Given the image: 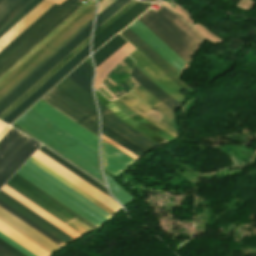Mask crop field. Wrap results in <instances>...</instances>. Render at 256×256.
I'll return each mask as SVG.
<instances>
[{
  "label": "crop field",
  "mask_w": 256,
  "mask_h": 256,
  "mask_svg": "<svg viewBox=\"0 0 256 256\" xmlns=\"http://www.w3.org/2000/svg\"><path fill=\"white\" fill-rule=\"evenodd\" d=\"M21 117H23L39 129H41L42 131L56 139L57 141L61 142L62 144H64L65 146H67L68 148H70L71 150H73L74 152H76L77 154H79L80 156H82L83 158H85L98 168H100L98 152L88 147L75 137L71 136L58 126L54 125L41 115L37 114L36 112L30 109ZM21 117L14 124L28 132L29 134H31L32 136H34L35 138H37L38 140H40L41 142L55 150L56 152H58L60 155H62L63 157H65L66 159H68L69 161H71L72 163H74L75 165H77L78 167H80L81 169H83L84 171H86L99 181H101L102 183H104L101 177L100 169H98L97 167H95L94 165H92L91 163H89L88 161H86L85 159H83L82 157H80L79 155H77L64 145L60 144L59 142H57L56 140H54L53 138H51L50 136H48L47 134H45L44 132H42L41 130H39L38 128H36L35 126H33Z\"/></svg>",
  "instance_id": "obj_1"
},
{
  "label": "crop field",
  "mask_w": 256,
  "mask_h": 256,
  "mask_svg": "<svg viewBox=\"0 0 256 256\" xmlns=\"http://www.w3.org/2000/svg\"><path fill=\"white\" fill-rule=\"evenodd\" d=\"M92 2H94V0H90L89 2L81 6L77 11H75L69 18H67L61 25H59L53 32H51L44 40H42L28 54H26L20 61H18L4 75H2L0 77V81H2L8 74H10L16 67H18L24 60H26L32 53H34L40 46H42L48 39H50L56 32H58L64 25H66L72 18H74L80 11H82ZM94 7L95 3H92L90 6L85 8L66 26H64L58 33H56L50 40H48L42 47H40L34 54H32L26 61H24L18 68H16L10 75H8L2 82H0V90L4 86H6L11 80H13L18 74H20L25 68H27L32 62H34L47 49H49L54 43H56L61 37H63L68 31H70L90 12H92L94 10ZM93 12L90 13L85 19H83L78 25H76L56 44H54L49 50H47L42 56H40L34 63H32L27 69H25L20 75H18L6 87H4L0 91V99L4 95H6L11 89H13L19 82H21L27 75H29L35 68H37L42 62H44L50 55H52L58 48H60L65 42H67L73 35H75L90 20H92Z\"/></svg>",
  "instance_id": "obj_2"
},
{
  "label": "crop field",
  "mask_w": 256,
  "mask_h": 256,
  "mask_svg": "<svg viewBox=\"0 0 256 256\" xmlns=\"http://www.w3.org/2000/svg\"><path fill=\"white\" fill-rule=\"evenodd\" d=\"M79 0L55 3L0 51V76L79 6Z\"/></svg>",
  "instance_id": "obj_3"
},
{
  "label": "crop field",
  "mask_w": 256,
  "mask_h": 256,
  "mask_svg": "<svg viewBox=\"0 0 256 256\" xmlns=\"http://www.w3.org/2000/svg\"><path fill=\"white\" fill-rule=\"evenodd\" d=\"M138 20L187 63L203 41L189 25L162 6L157 12L149 10Z\"/></svg>",
  "instance_id": "obj_4"
},
{
  "label": "crop field",
  "mask_w": 256,
  "mask_h": 256,
  "mask_svg": "<svg viewBox=\"0 0 256 256\" xmlns=\"http://www.w3.org/2000/svg\"><path fill=\"white\" fill-rule=\"evenodd\" d=\"M128 27L180 72L182 67L185 65V62L171 49H169L161 40H159L152 32H150L143 24L137 20ZM128 27L121 33L125 38H127L171 79L179 73Z\"/></svg>",
  "instance_id": "obj_5"
},
{
  "label": "crop field",
  "mask_w": 256,
  "mask_h": 256,
  "mask_svg": "<svg viewBox=\"0 0 256 256\" xmlns=\"http://www.w3.org/2000/svg\"><path fill=\"white\" fill-rule=\"evenodd\" d=\"M39 145L13 128L3 137L0 141V187Z\"/></svg>",
  "instance_id": "obj_6"
},
{
  "label": "crop field",
  "mask_w": 256,
  "mask_h": 256,
  "mask_svg": "<svg viewBox=\"0 0 256 256\" xmlns=\"http://www.w3.org/2000/svg\"><path fill=\"white\" fill-rule=\"evenodd\" d=\"M91 23L92 21L88 23L84 28L82 27V30H80L74 37H72L66 44H64L58 51H56L50 58H48L42 65H40L5 97H3L0 100V113H2L8 106H10L16 99H18L24 92H26L32 85H34L40 78H42L78 45H80L86 38H88L90 36Z\"/></svg>",
  "instance_id": "obj_7"
},
{
  "label": "crop field",
  "mask_w": 256,
  "mask_h": 256,
  "mask_svg": "<svg viewBox=\"0 0 256 256\" xmlns=\"http://www.w3.org/2000/svg\"><path fill=\"white\" fill-rule=\"evenodd\" d=\"M16 173L57 199L59 202L94 224L100 226L104 224L108 219L28 167L23 165Z\"/></svg>",
  "instance_id": "obj_8"
},
{
  "label": "crop field",
  "mask_w": 256,
  "mask_h": 256,
  "mask_svg": "<svg viewBox=\"0 0 256 256\" xmlns=\"http://www.w3.org/2000/svg\"><path fill=\"white\" fill-rule=\"evenodd\" d=\"M6 185L23 195L24 197H26L63 223L75 218L74 216H72L71 214H69L68 212H66L65 210H63L62 208H60L59 206H57L56 204H54L53 202H51L14 176L8 181ZM65 224L81 235L93 230L91 229L92 227H88L76 218Z\"/></svg>",
  "instance_id": "obj_9"
},
{
  "label": "crop field",
  "mask_w": 256,
  "mask_h": 256,
  "mask_svg": "<svg viewBox=\"0 0 256 256\" xmlns=\"http://www.w3.org/2000/svg\"><path fill=\"white\" fill-rule=\"evenodd\" d=\"M31 109L36 111L37 113L41 114L54 124L58 125L71 135L75 136L88 146L92 147L96 151L97 149V142L98 137L87 131L86 129L82 128L57 110L53 109L43 101H39L37 104H35Z\"/></svg>",
  "instance_id": "obj_10"
},
{
  "label": "crop field",
  "mask_w": 256,
  "mask_h": 256,
  "mask_svg": "<svg viewBox=\"0 0 256 256\" xmlns=\"http://www.w3.org/2000/svg\"><path fill=\"white\" fill-rule=\"evenodd\" d=\"M42 99L98 135L97 117L75 104L56 90L53 89Z\"/></svg>",
  "instance_id": "obj_11"
},
{
  "label": "crop field",
  "mask_w": 256,
  "mask_h": 256,
  "mask_svg": "<svg viewBox=\"0 0 256 256\" xmlns=\"http://www.w3.org/2000/svg\"><path fill=\"white\" fill-rule=\"evenodd\" d=\"M88 46L84 47L76 56H74L65 66H63L56 74H54L48 81L32 93L26 100H24L16 109H14L2 121L10 123L19 114H21L27 107H29L35 100H37L43 93H45L51 86H53L59 79H61L67 72H69L75 65H77L83 58L88 55Z\"/></svg>",
  "instance_id": "obj_12"
},
{
  "label": "crop field",
  "mask_w": 256,
  "mask_h": 256,
  "mask_svg": "<svg viewBox=\"0 0 256 256\" xmlns=\"http://www.w3.org/2000/svg\"><path fill=\"white\" fill-rule=\"evenodd\" d=\"M130 57L136 61L137 66L144 74H146L153 82H155L162 90L176 100L180 101L185 97L176 84L166 77L159 69H157L150 61H148L137 50L130 54Z\"/></svg>",
  "instance_id": "obj_13"
},
{
  "label": "crop field",
  "mask_w": 256,
  "mask_h": 256,
  "mask_svg": "<svg viewBox=\"0 0 256 256\" xmlns=\"http://www.w3.org/2000/svg\"><path fill=\"white\" fill-rule=\"evenodd\" d=\"M99 110L101 113V123L105 124L109 128L118 132L122 136L126 137L130 141L139 145L143 149L149 151L159 145L155 144L151 140L147 139L143 135L139 134L135 130L131 129L127 125L123 124L115 115H113L108 109H106L100 102H98Z\"/></svg>",
  "instance_id": "obj_14"
},
{
  "label": "crop field",
  "mask_w": 256,
  "mask_h": 256,
  "mask_svg": "<svg viewBox=\"0 0 256 256\" xmlns=\"http://www.w3.org/2000/svg\"><path fill=\"white\" fill-rule=\"evenodd\" d=\"M140 98H142L149 106H154L159 101L156 100L152 95H150L145 89H143L141 86L137 89L133 90ZM123 103H125L130 109L144 117L146 120L150 121L160 129L164 130L165 132L169 133L173 137L176 138V134L172 133L171 131L167 130L164 126L157 123L153 119L149 118L145 114L148 113L150 110L149 107H147L136 95H134L132 92L119 98Z\"/></svg>",
  "instance_id": "obj_15"
},
{
  "label": "crop field",
  "mask_w": 256,
  "mask_h": 256,
  "mask_svg": "<svg viewBox=\"0 0 256 256\" xmlns=\"http://www.w3.org/2000/svg\"><path fill=\"white\" fill-rule=\"evenodd\" d=\"M0 220L49 253L59 247L2 208H0Z\"/></svg>",
  "instance_id": "obj_16"
},
{
  "label": "crop field",
  "mask_w": 256,
  "mask_h": 256,
  "mask_svg": "<svg viewBox=\"0 0 256 256\" xmlns=\"http://www.w3.org/2000/svg\"><path fill=\"white\" fill-rule=\"evenodd\" d=\"M54 89L97 116L92 94L74 83L69 78L66 77Z\"/></svg>",
  "instance_id": "obj_17"
},
{
  "label": "crop field",
  "mask_w": 256,
  "mask_h": 256,
  "mask_svg": "<svg viewBox=\"0 0 256 256\" xmlns=\"http://www.w3.org/2000/svg\"><path fill=\"white\" fill-rule=\"evenodd\" d=\"M101 155L104 169L117 176L135 162L103 141Z\"/></svg>",
  "instance_id": "obj_18"
},
{
  "label": "crop field",
  "mask_w": 256,
  "mask_h": 256,
  "mask_svg": "<svg viewBox=\"0 0 256 256\" xmlns=\"http://www.w3.org/2000/svg\"><path fill=\"white\" fill-rule=\"evenodd\" d=\"M131 76L149 93H151L155 98L160 100L165 106L174 112L179 103L174 101L172 98L167 96L163 91H161L155 84H153L147 77H145L139 70L133 67Z\"/></svg>",
  "instance_id": "obj_19"
},
{
  "label": "crop field",
  "mask_w": 256,
  "mask_h": 256,
  "mask_svg": "<svg viewBox=\"0 0 256 256\" xmlns=\"http://www.w3.org/2000/svg\"><path fill=\"white\" fill-rule=\"evenodd\" d=\"M133 50L134 48L129 43H127L110 58H108L104 63L97 67L94 88L98 89L102 81L105 79L107 73Z\"/></svg>",
  "instance_id": "obj_20"
},
{
  "label": "crop field",
  "mask_w": 256,
  "mask_h": 256,
  "mask_svg": "<svg viewBox=\"0 0 256 256\" xmlns=\"http://www.w3.org/2000/svg\"><path fill=\"white\" fill-rule=\"evenodd\" d=\"M89 39H86L80 46H78L73 52H71L65 59H63L58 65H56L50 72H48L42 79H40L33 87H31L24 95H22L15 103H13L6 111L0 115L2 120L7 116L15 107H17L24 99H26L33 91H35L41 84H43L50 76H52L59 68H61L67 61H69L76 53H78L84 46L89 43Z\"/></svg>",
  "instance_id": "obj_21"
},
{
  "label": "crop field",
  "mask_w": 256,
  "mask_h": 256,
  "mask_svg": "<svg viewBox=\"0 0 256 256\" xmlns=\"http://www.w3.org/2000/svg\"><path fill=\"white\" fill-rule=\"evenodd\" d=\"M95 96L98 100H100L105 106H107L111 111H113L118 117H120L128 125L132 126L133 128H135L139 132L143 133L144 135H146L147 137H149L150 139H152L153 141L157 142L160 145L167 143L166 141H164L160 137L156 136L155 134H153L146 128L140 126L139 124H137L136 122L131 120L117 106H115L111 101H108L107 99H105L97 91H95Z\"/></svg>",
  "instance_id": "obj_22"
},
{
  "label": "crop field",
  "mask_w": 256,
  "mask_h": 256,
  "mask_svg": "<svg viewBox=\"0 0 256 256\" xmlns=\"http://www.w3.org/2000/svg\"><path fill=\"white\" fill-rule=\"evenodd\" d=\"M28 161H30L31 163H33L34 165H36L46 173L50 174L51 176H53L54 178H56L57 180H59L60 182H62L63 184H65L66 186H68L69 188H71L72 190H74L84 198H86L87 200H89L90 202L94 203L95 205H97L98 207H100L110 215L112 216L114 215L115 212H113L112 210H110L109 208H107L106 206H104L103 204H101L100 202H98L97 200H95L94 198H92L91 196H89L88 194H86L85 192H83L82 190H80L79 188H77L76 186H74L73 184H71L70 182H68L58 174H56L55 172H53L52 170H50L49 168H47L46 166L38 162L37 160H35L34 158L31 157Z\"/></svg>",
  "instance_id": "obj_23"
},
{
  "label": "crop field",
  "mask_w": 256,
  "mask_h": 256,
  "mask_svg": "<svg viewBox=\"0 0 256 256\" xmlns=\"http://www.w3.org/2000/svg\"><path fill=\"white\" fill-rule=\"evenodd\" d=\"M127 42L122 39L119 35L113 37L109 42L102 46L93 55L95 66H99L103 61L115 53L119 48H121Z\"/></svg>",
  "instance_id": "obj_24"
},
{
  "label": "crop field",
  "mask_w": 256,
  "mask_h": 256,
  "mask_svg": "<svg viewBox=\"0 0 256 256\" xmlns=\"http://www.w3.org/2000/svg\"><path fill=\"white\" fill-rule=\"evenodd\" d=\"M38 150H40L41 152H43L44 154H46L47 156H49L50 158H52L53 160H55L56 162H58L59 164H61L62 166H64L65 168H67L68 170H70L71 172H73L74 174H76L77 176H79L80 178H82L83 180H85L86 182H88L89 184H91L92 186H94L95 188H97L98 190H100L101 192L110 197L105 187H103L102 185H100L99 183H97L96 181H94L93 179H91L90 177H88L87 175H85L84 173H82L81 171H79L78 169H76L63 159L58 157L45 147L41 146Z\"/></svg>",
  "instance_id": "obj_25"
},
{
  "label": "crop field",
  "mask_w": 256,
  "mask_h": 256,
  "mask_svg": "<svg viewBox=\"0 0 256 256\" xmlns=\"http://www.w3.org/2000/svg\"><path fill=\"white\" fill-rule=\"evenodd\" d=\"M149 6L150 4L144 3L138 9H136L132 14H130L127 18H125L122 22H120L116 27H114L111 31H109L105 36H103L100 40H98L94 45H92V52H94L100 46H102L105 42H107L111 37H113L116 33H118L126 25H128L132 20H134L137 16H139Z\"/></svg>",
  "instance_id": "obj_26"
},
{
  "label": "crop field",
  "mask_w": 256,
  "mask_h": 256,
  "mask_svg": "<svg viewBox=\"0 0 256 256\" xmlns=\"http://www.w3.org/2000/svg\"><path fill=\"white\" fill-rule=\"evenodd\" d=\"M101 134L105 135L109 139L113 140L114 142L118 143L139 157L147 152L103 124H101Z\"/></svg>",
  "instance_id": "obj_27"
},
{
  "label": "crop field",
  "mask_w": 256,
  "mask_h": 256,
  "mask_svg": "<svg viewBox=\"0 0 256 256\" xmlns=\"http://www.w3.org/2000/svg\"><path fill=\"white\" fill-rule=\"evenodd\" d=\"M67 77L72 79L74 82L85 88L87 91L91 93L90 82L92 78V68L86 63H82L78 66L72 73H70Z\"/></svg>",
  "instance_id": "obj_28"
},
{
  "label": "crop field",
  "mask_w": 256,
  "mask_h": 256,
  "mask_svg": "<svg viewBox=\"0 0 256 256\" xmlns=\"http://www.w3.org/2000/svg\"><path fill=\"white\" fill-rule=\"evenodd\" d=\"M0 200L6 203L7 205H9L10 207H12L13 209H15L16 211H18L19 213H21L22 215H24L25 217H27L28 219H30L31 221H33L34 223H36L37 225H39L40 227H42L43 229H45L46 231H48L49 233H51L52 235H54L55 237H57L58 239H60L61 241H63L64 243L67 244L71 242L1 194H0Z\"/></svg>",
  "instance_id": "obj_29"
},
{
  "label": "crop field",
  "mask_w": 256,
  "mask_h": 256,
  "mask_svg": "<svg viewBox=\"0 0 256 256\" xmlns=\"http://www.w3.org/2000/svg\"><path fill=\"white\" fill-rule=\"evenodd\" d=\"M25 164H27L28 166H30L31 168H33L34 170H36L37 172H39L40 174H42L43 176H45L46 178H48L49 180H51L52 182H54L55 184H57L58 186H60L61 188H63L64 190H66L67 192H69L70 194H72L73 196H75L76 198H78L88 206H90L91 208H93L94 210H96L97 212H99L100 214H102L103 216H105L106 218L109 219L110 217H112L106 212H104L103 210H101L100 208H98L97 206H95L94 204L90 203L89 201H87L86 199H84L74 191H72L71 189H69L68 187H66L65 185H63L62 183H60L59 181H57L56 179H54L53 177H51L50 175L46 174L45 172H43L42 170H40L39 168L31 164L30 162L27 161Z\"/></svg>",
  "instance_id": "obj_30"
},
{
  "label": "crop field",
  "mask_w": 256,
  "mask_h": 256,
  "mask_svg": "<svg viewBox=\"0 0 256 256\" xmlns=\"http://www.w3.org/2000/svg\"><path fill=\"white\" fill-rule=\"evenodd\" d=\"M128 2H130V0H115L112 4H110L106 9L97 15L95 29H97L112 15L124 7Z\"/></svg>",
  "instance_id": "obj_31"
},
{
  "label": "crop field",
  "mask_w": 256,
  "mask_h": 256,
  "mask_svg": "<svg viewBox=\"0 0 256 256\" xmlns=\"http://www.w3.org/2000/svg\"><path fill=\"white\" fill-rule=\"evenodd\" d=\"M0 206L3 207L4 209H6L11 214H13L14 216H16L17 218H19L20 220H22L23 222H25L26 224H28L29 226H31L32 228H34L35 230H37L38 232H40L41 234H43L44 236H46L47 238H49L50 240H52L53 242H55L56 244H58L59 246L62 247L64 245H66L1 201H0Z\"/></svg>",
  "instance_id": "obj_32"
},
{
  "label": "crop field",
  "mask_w": 256,
  "mask_h": 256,
  "mask_svg": "<svg viewBox=\"0 0 256 256\" xmlns=\"http://www.w3.org/2000/svg\"><path fill=\"white\" fill-rule=\"evenodd\" d=\"M105 177L110 187L111 194H113L123 206L129 203L130 201L134 200L120 186L114 183L111 178H109L106 175Z\"/></svg>",
  "instance_id": "obj_33"
},
{
  "label": "crop field",
  "mask_w": 256,
  "mask_h": 256,
  "mask_svg": "<svg viewBox=\"0 0 256 256\" xmlns=\"http://www.w3.org/2000/svg\"><path fill=\"white\" fill-rule=\"evenodd\" d=\"M32 0H20L13 6L6 14L0 18V28H2L8 21H10L16 14H18L27 4Z\"/></svg>",
  "instance_id": "obj_34"
},
{
  "label": "crop field",
  "mask_w": 256,
  "mask_h": 256,
  "mask_svg": "<svg viewBox=\"0 0 256 256\" xmlns=\"http://www.w3.org/2000/svg\"><path fill=\"white\" fill-rule=\"evenodd\" d=\"M41 0H34L22 12H20L14 19H12L5 27L0 30V37L9 30L18 20H20L28 11L36 6Z\"/></svg>",
  "instance_id": "obj_35"
},
{
  "label": "crop field",
  "mask_w": 256,
  "mask_h": 256,
  "mask_svg": "<svg viewBox=\"0 0 256 256\" xmlns=\"http://www.w3.org/2000/svg\"><path fill=\"white\" fill-rule=\"evenodd\" d=\"M17 178H19L20 180H22L23 182H25L26 184L30 185L31 187H33L34 189H36L37 191H39L40 193H42L43 195H45L46 197H48L49 199H51L52 201L56 202L57 204H59L60 206H62L63 208H65L66 210H68L70 213H72L74 216H76L77 218H79L81 221H83L84 223H86L87 225H89L90 227H92L93 229L97 228L94 225H92L91 223H89L88 221H86L85 219H83L82 217H80L79 215H77L76 213H74L73 211H71L70 209H68L67 207H65L64 205H62L61 203H59L58 201H56L54 198H52L51 196H49L48 194H46L45 192H43L42 190H40L39 188H37L36 186H34L33 184H31L30 182H28L27 180H25L24 178H22L21 176H19L18 174L15 173V175Z\"/></svg>",
  "instance_id": "obj_36"
},
{
  "label": "crop field",
  "mask_w": 256,
  "mask_h": 256,
  "mask_svg": "<svg viewBox=\"0 0 256 256\" xmlns=\"http://www.w3.org/2000/svg\"><path fill=\"white\" fill-rule=\"evenodd\" d=\"M141 4L137 2L132 8H130L126 13H124L120 18H118L115 22H113L109 27H107L103 32H101L97 37H95L92 41V44L95 43L98 39H100L104 34H106L109 30H111L114 26H116L120 21H122L125 17H127L130 13H132L136 8H138ZM105 36V35H104ZM94 45V44H93Z\"/></svg>",
  "instance_id": "obj_37"
},
{
  "label": "crop field",
  "mask_w": 256,
  "mask_h": 256,
  "mask_svg": "<svg viewBox=\"0 0 256 256\" xmlns=\"http://www.w3.org/2000/svg\"><path fill=\"white\" fill-rule=\"evenodd\" d=\"M136 1L132 0L128 3L124 8H122L119 12H117L113 17H111L108 21H106L103 25H101L97 30L94 31V36H96L100 31H102L106 26H108L111 22H113L117 17H119L122 13H124L128 8H130Z\"/></svg>",
  "instance_id": "obj_38"
},
{
  "label": "crop field",
  "mask_w": 256,
  "mask_h": 256,
  "mask_svg": "<svg viewBox=\"0 0 256 256\" xmlns=\"http://www.w3.org/2000/svg\"><path fill=\"white\" fill-rule=\"evenodd\" d=\"M0 193L3 194L4 196H6L7 198H9L10 200H12L13 202H15L17 205H19L20 207H22L23 209H25L32 215H34L35 217H37L38 219H40L41 221H43L44 223H46L47 225H49L50 227H52L54 230H56L57 232H59L60 234H62L66 238H68L69 240H71V241L74 240L71 237H69L68 235H66L65 233H63L62 231H60L59 229H57L56 227H54L53 225H51L50 223H48L47 221H45L44 219H42L41 217H39L38 215H36L35 213H33L32 211H30L29 209H27L26 207H24L23 205H21L20 203H18L17 201H15L14 199H12L11 197H9L8 195H6L5 193H3L2 191H0Z\"/></svg>",
  "instance_id": "obj_39"
},
{
  "label": "crop field",
  "mask_w": 256,
  "mask_h": 256,
  "mask_svg": "<svg viewBox=\"0 0 256 256\" xmlns=\"http://www.w3.org/2000/svg\"><path fill=\"white\" fill-rule=\"evenodd\" d=\"M0 238L3 239L4 241H6L7 243H9L10 245H12L13 247H15L16 249H18L19 251H21L24 254H26L27 256H35L34 254H32L31 252H29L28 250H26L25 248L20 246L19 244H17L13 240L9 239L8 237L3 235L2 233H0Z\"/></svg>",
  "instance_id": "obj_40"
},
{
  "label": "crop field",
  "mask_w": 256,
  "mask_h": 256,
  "mask_svg": "<svg viewBox=\"0 0 256 256\" xmlns=\"http://www.w3.org/2000/svg\"><path fill=\"white\" fill-rule=\"evenodd\" d=\"M19 0H5L0 4V17L6 13L13 5H15Z\"/></svg>",
  "instance_id": "obj_41"
},
{
  "label": "crop field",
  "mask_w": 256,
  "mask_h": 256,
  "mask_svg": "<svg viewBox=\"0 0 256 256\" xmlns=\"http://www.w3.org/2000/svg\"><path fill=\"white\" fill-rule=\"evenodd\" d=\"M101 139H103L104 141L108 142L109 144H111L112 146L116 147L117 149H119L120 151L124 152L125 154H127L128 156L132 157L133 159H138L139 157L135 156L134 154H132L131 152L127 151L126 149L122 148L121 146H119L118 144L114 143L113 141L109 140L108 138H106L105 136L101 135Z\"/></svg>",
  "instance_id": "obj_42"
},
{
  "label": "crop field",
  "mask_w": 256,
  "mask_h": 256,
  "mask_svg": "<svg viewBox=\"0 0 256 256\" xmlns=\"http://www.w3.org/2000/svg\"><path fill=\"white\" fill-rule=\"evenodd\" d=\"M0 245L3 246L4 248H6L7 250H9L10 252H12L13 254H15L16 256H26L1 239H0Z\"/></svg>",
  "instance_id": "obj_43"
},
{
  "label": "crop field",
  "mask_w": 256,
  "mask_h": 256,
  "mask_svg": "<svg viewBox=\"0 0 256 256\" xmlns=\"http://www.w3.org/2000/svg\"><path fill=\"white\" fill-rule=\"evenodd\" d=\"M12 127L0 121V140Z\"/></svg>",
  "instance_id": "obj_44"
},
{
  "label": "crop field",
  "mask_w": 256,
  "mask_h": 256,
  "mask_svg": "<svg viewBox=\"0 0 256 256\" xmlns=\"http://www.w3.org/2000/svg\"><path fill=\"white\" fill-rule=\"evenodd\" d=\"M0 256H14L11 253H9L8 251H6L5 249H3L2 247H0Z\"/></svg>",
  "instance_id": "obj_45"
},
{
  "label": "crop field",
  "mask_w": 256,
  "mask_h": 256,
  "mask_svg": "<svg viewBox=\"0 0 256 256\" xmlns=\"http://www.w3.org/2000/svg\"><path fill=\"white\" fill-rule=\"evenodd\" d=\"M53 1H55L59 5V4H61L65 0H53Z\"/></svg>",
  "instance_id": "obj_46"
},
{
  "label": "crop field",
  "mask_w": 256,
  "mask_h": 256,
  "mask_svg": "<svg viewBox=\"0 0 256 256\" xmlns=\"http://www.w3.org/2000/svg\"><path fill=\"white\" fill-rule=\"evenodd\" d=\"M3 0H0V3L2 2Z\"/></svg>",
  "instance_id": "obj_47"
}]
</instances>
